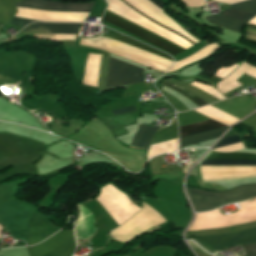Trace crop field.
<instances>
[{
	"label": "crop field",
	"instance_id": "crop-field-1",
	"mask_svg": "<svg viewBox=\"0 0 256 256\" xmlns=\"http://www.w3.org/2000/svg\"><path fill=\"white\" fill-rule=\"evenodd\" d=\"M187 189L195 211H207L228 203L256 197V184L241 185L218 193L192 188Z\"/></svg>",
	"mask_w": 256,
	"mask_h": 256
},
{
	"label": "crop field",
	"instance_id": "crop-field-2",
	"mask_svg": "<svg viewBox=\"0 0 256 256\" xmlns=\"http://www.w3.org/2000/svg\"><path fill=\"white\" fill-rule=\"evenodd\" d=\"M240 212L222 215L219 209L196 214L197 218L188 231L210 230L256 221V200L241 203Z\"/></svg>",
	"mask_w": 256,
	"mask_h": 256
},
{
	"label": "crop field",
	"instance_id": "crop-field-3",
	"mask_svg": "<svg viewBox=\"0 0 256 256\" xmlns=\"http://www.w3.org/2000/svg\"><path fill=\"white\" fill-rule=\"evenodd\" d=\"M121 1L126 3L128 6H130L132 9L139 12L143 16L151 19L152 21L160 24L161 26L167 28L168 30L176 33L177 35H179V36L185 38L186 40L190 41L191 43L195 44L194 41L186 38L185 36L177 33L176 31L166 27L165 25L157 22L156 20L146 16L145 14H143L142 12H140L139 10H137L136 8L131 6L126 1H124V0H121ZM151 1L153 3H155L156 5L160 6L161 8H163L162 7L163 1H161V0H151ZM103 20H105V21H107V22H109V23H111V24H113V25H115V26H117V27H119V28H121V29H123V30H125V31H127V32H129V33H131V34H133V35H135V36H137V37H139V38H141V39H143V40H145V41H147V42H149V43H151V44H153V45H155V46H157V47H159V48H161V49H163V50H165L169 53H171V54H173V55H175V56L178 55L179 53H181L184 50V49H182V48H180V47H178V46H176V45H174V44H172V43H170V42H168V41H166V40H164V39H162V38H160V37H158V36H156V35H154L150 32H148V31H146L145 29L131 23L130 21L118 16L117 14L113 13L112 11H110L108 9H107V11H106V13L103 17Z\"/></svg>",
	"mask_w": 256,
	"mask_h": 256
},
{
	"label": "crop field",
	"instance_id": "crop-field-4",
	"mask_svg": "<svg viewBox=\"0 0 256 256\" xmlns=\"http://www.w3.org/2000/svg\"><path fill=\"white\" fill-rule=\"evenodd\" d=\"M205 250L214 253L232 246L256 243V229L234 232L226 235H216L193 239ZM247 256H256V244L243 245Z\"/></svg>",
	"mask_w": 256,
	"mask_h": 256
},
{
	"label": "crop field",
	"instance_id": "crop-field-5",
	"mask_svg": "<svg viewBox=\"0 0 256 256\" xmlns=\"http://www.w3.org/2000/svg\"><path fill=\"white\" fill-rule=\"evenodd\" d=\"M222 11L219 17H205L211 24L218 25L237 32H242L243 26L256 15V0H249L231 5Z\"/></svg>",
	"mask_w": 256,
	"mask_h": 256
},
{
	"label": "crop field",
	"instance_id": "crop-field-6",
	"mask_svg": "<svg viewBox=\"0 0 256 256\" xmlns=\"http://www.w3.org/2000/svg\"><path fill=\"white\" fill-rule=\"evenodd\" d=\"M215 121L209 120V121H205V122H200V123L180 127L179 128L180 129V137L189 135V134H193V133H197V132H201V131H205V130H209V129H213V128H217V127H221V126H225V125L215 122ZM228 128H229V126H226V127H222V128H218V129L182 137V138H180V147L200 143V142L207 141V140L214 139V138H218Z\"/></svg>",
	"mask_w": 256,
	"mask_h": 256
},
{
	"label": "crop field",
	"instance_id": "crop-field-7",
	"mask_svg": "<svg viewBox=\"0 0 256 256\" xmlns=\"http://www.w3.org/2000/svg\"><path fill=\"white\" fill-rule=\"evenodd\" d=\"M74 237V231H60L47 241L41 243L35 248L28 250L29 256H41L55 249L60 244ZM76 248L75 239L72 238L64 244L57 247L55 250L49 252L48 254L54 256H71Z\"/></svg>",
	"mask_w": 256,
	"mask_h": 256
},
{
	"label": "crop field",
	"instance_id": "crop-field-8",
	"mask_svg": "<svg viewBox=\"0 0 256 256\" xmlns=\"http://www.w3.org/2000/svg\"><path fill=\"white\" fill-rule=\"evenodd\" d=\"M16 4L36 7V8L51 9V10L89 13L94 2L92 3H55V2H50L46 0H24ZM32 22L34 21L13 17L11 24L24 27L25 25Z\"/></svg>",
	"mask_w": 256,
	"mask_h": 256
},
{
	"label": "crop field",
	"instance_id": "crop-field-9",
	"mask_svg": "<svg viewBox=\"0 0 256 256\" xmlns=\"http://www.w3.org/2000/svg\"><path fill=\"white\" fill-rule=\"evenodd\" d=\"M144 82L142 70L116 59L112 61L109 86L118 87Z\"/></svg>",
	"mask_w": 256,
	"mask_h": 256
},
{
	"label": "crop field",
	"instance_id": "crop-field-10",
	"mask_svg": "<svg viewBox=\"0 0 256 256\" xmlns=\"http://www.w3.org/2000/svg\"><path fill=\"white\" fill-rule=\"evenodd\" d=\"M205 159L256 160V154L217 153L212 151ZM240 160H204L201 165H256V161H240Z\"/></svg>",
	"mask_w": 256,
	"mask_h": 256
},
{
	"label": "crop field",
	"instance_id": "crop-field-11",
	"mask_svg": "<svg viewBox=\"0 0 256 256\" xmlns=\"http://www.w3.org/2000/svg\"><path fill=\"white\" fill-rule=\"evenodd\" d=\"M47 239V222L33 214L29 221L28 245Z\"/></svg>",
	"mask_w": 256,
	"mask_h": 256
},
{
	"label": "crop field",
	"instance_id": "crop-field-12",
	"mask_svg": "<svg viewBox=\"0 0 256 256\" xmlns=\"http://www.w3.org/2000/svg\"><path fill=\"white\" fill-rule=\"evenodd\" d=\"M79 26L80 24L35 23L27 26L22 31L27 32L33 29H42L52 33L76 34Z\"/></svg>",
	"mask_w": 256,
	"mask_h": 256
},
{
	"label": "crop field",
	"instance_id": "crop-field-13",
	"mask_svg": "<svg viewBox=\"0 0 256 256\" xmlns=\"http://www.w3.org/2000/svg\"><path fill=\"white\" fill-rule=\"evenodd\" d=\"M80 206L81 215L77 226L78 238H88L95 232L93 215L86 208Z\"/></svg>",
	"mask_w": 256,
	"mask_h": 256
},
{
	"label": "crop field",
	"instance_id": "crop-field-14",
	"mask_svg": "<svg viewBox=\"0 0 256 256\" xmlns=\"http://www.w3.org/2000/svg\"><path fill=\"white\" fill-rule=\"evenodd\" d=\"M157 129V127L140 126L130 147L147 150L150 138L156 132Z\"/></svg>",
	"mask_w": 256,
	"mask_h": 256
},
{
	"label": "crop field",
	"instance_id": "crop-field-15",
	"mask_svg": "<svg viewBox=\"0 0 256 256\" xmlns=\"http://www.w3.org/2000/svg\"><path fill=\"white\" fill-rule=\"evenodd\" d=\"M103 36L107 37V38H110L112 40H115V41L127 44L129 46H132V47H135V48L147 51L149 53H152V54L164 57L166 59L172 60V58L169 55H167L165 53H162V52H160L158 50H155V49H153L151 47H148L146 45H143V44H141L139 42H136V41H134L132 39H129V38L125 37V36H118V35H103Z\"/></svg>",
	"mask_w": 256,
	"mask_h": 256
},
{
	"label": "crop field",
	"instance_id": "crop-field-16",
	"mask_svg": "<svg viewBox=\"0 0 256 256\" xmlns=\"http://www.w3.org/2000/svg\"><path fill=\"white\" fill-rule=\"evenodd\" d=\"M164 85H166V86L174 89L178 93L188 97L193 103H195L199 107H201L205 104H208L204 100H202L200 97H198V96H196V95H194V94H192V93H190V92H188V91H186V90H184V89H182V88H180V87H178V86H176L172 83H169V82L165 81Z\"/></svg>",
	"mask_w": 256,
	"mask_h": 256
},
{
	"label": "crop field",
	"instance_id": "crop-field-17",
	"mask_svg": "<svg viewBox=\"0 0 256 256\" xmlns=\"http://www.w3.org/2000/svg\"><path fill=\"white\" fill-rule=\"evenodd\" d=\"M236 142H240L238 135L224 138L215 148L222 147V146L229 145Z\"/></svg>",
	"mask_w": 256,
	"mask_h": 256
},
{
	"label": "crop field",
	"instance_id": "crop-field-18",
	"mask_svg": "<svg viewBox=\"0 0 256 256\" xmlns=\"http://www.w3.org/2000/svg\"><path fill=\"white\" fill-rule=\"evenodd\" d=\"M135 110H137V109L135 106H133V107H127V108H122V109H116L114 111H115V114L118 115V114L131 112V111H135Z\"/></svg>",
	"mask_w": 256,
	"mask_h": 256
},
{
	"label": "crop field",
	"instance_id": "crop-field-19",
	"mask_svg": "<svg viewBox=\"0 0 256 256\" xmlns=\"http://www.w3.org/2000/svg\"><path fill=\"white\" fill-rule=\"evenodd\" d=\"M246 30L256 32V25L248 23L247 27H246ZM248 31H245V32L256 35V33L248 32Z\"/></svg>",
	"mask_w": 256,
	"mask_h": 256
},
{
	"label": "crop field",
	"instance_id": "crop-field-20",
	"mask_svg": "<svg viewBox=\"0 0 256 256\" xmlns=\"http://www.w3.org/2000/svg\"><path fill=\"white\" fill-rule=\"evenodd\" d=\"M191 245H193L195 248H197V249H199V250H201V251H203V252H205L204 250H202L200 247H198L196 244H194L193 242H191V241H188Z\"/></svg>",
	"mask_w": 256,
	"mask_h": 256
},
{
	"label": "crop field",
	"instance_id": "crop-field-21",
	"mask_svg": "<svg viewBox=\"0 0 256 256\" xmlns=\"http://www.w3.org/2000/svg\"><path fill=\"white\" fill-rule=\"evenodd\" d=\"M234 256H238V253H237V254H235Z\"/></svg>",
	"mask_w": 256,
	"mask_h": 256
}]
</instances>
